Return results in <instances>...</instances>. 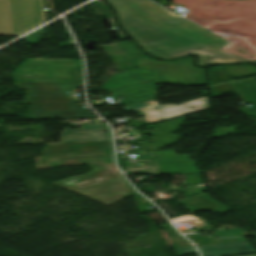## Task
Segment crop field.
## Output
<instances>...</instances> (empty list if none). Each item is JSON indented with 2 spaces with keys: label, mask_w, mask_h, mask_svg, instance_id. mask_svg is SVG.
I'll use <instances>...</instances> for the list:
<instances>
[{
  "label": "crop field",
  "mask_w": 256,
  "mask_h": 256,
  "mask_svg": "<svg viewBox=\"0 0 256 256\" xmlns=\"http://www.w3.org/2000/svg\"><path fill=\"white\" fill-rule=\"evenodd\" d=\"M175 252L177 253L178 256H181L187 253L196 252V250L194 247H187V248L175 249Z\"/></svg>",
  "instance_id": "d9b57169"
},
{
  "label": "crop field",
  "mask_w": 256,
  "mask_h": 256,
  "mask_svg": "<svg viewBox=\"0 0 256 256\" xmlns=\"http://www.w3.org/2000/svg\"><path fill=\"white\" fill-rule=\"evenodd\" d=\"M111 140L103 129H67L63 128L60 142Z\"/></svg>",
  "instance_id": "3316defc"
},
{
  "label": "crop field",
  "mask_w": 256,
  "mask_h": 256,
  "mask_svg": "<svg viewBox=\"0 0 256 256\" xmlns=\"http://www.w3.org/2000/svg\"><path fill=\"white\" fill-rule=\"evenodd\" d=\"M180 174H193V173H180Z\"/></svg>",
  "instance_id": "733c2abd"
},
{
  "label": "crop field",
  "mask_w": 256,
  "mask_h": 256,
  "mask_svg": "<svg viewBox=\"0 0 256 256\" xmlns=\"http://www.w3.org/2000/svg\"><path fill=\"white\" fill-rule=\"evenodd\" d=\"M222 89L224 91H222ZM212 91H213V95L214 97L223 93V92H234V93H237L236 90L234 89L232 83H229V84H223V85H219V86H216V87H212ZM219 91H222L221 93H219Z\"/></svg>",
  "instance_id": "5142ce71"
},
{
  "label": "crop field",
  "mask_w": 256,
  "mask_h": 256,
  "mask_svg": "<svg viewBox=\"0 0 256 256\" xmlns=\"http://www.w3.org/2000/svg\"><path fill=\"white\" fill-rule=\"evenodd\" d=\"M16 88H26L25 103H33L29 118H97L85 104H74L69 91L83 87L74 84L14 82Z\"/></svg>",
  "instance_id": "34b2d1b8"
},
{
  "label": "crop field",
  "mask_w": 256,
  "mask_h": 256,
  "mask_svg": "<svg viewBox=\"0 0 256 256\" xmlns=\"http://www.w3.org/2000/svg\"><path fill=\"white\" fill-rule=\"evenodd\" d=\"M250 256H256V255H250Z\"/></svg>",
  "instance_id": "4a817a6b"
},
{
  "label": "crop field",
  "mask_w": 256,
  "mask_h": 256,
  "mask_svg": "<svg viewBox=\"0 0 256 256\" xmlns=\"http://www.w3.org/2000/svg\"><path fill=\"white\" fill-rule=\"evenodd\" d=\"M217 68L226 72L233 78L244 77L248 75L256 74V68L247 65L240 66H217Z\"/></svg>",
  "instance_id": "d1516ede"
},
{
  "label": "crop field",
  "mask_w": 256,
  "mask_h": 256,
  "mask_svg": "<svg viewBox=\"0 0 256 256\" xmlns=\"http://www.w3.org/2000/svg\"><path fill=\"white\" fill-rule=\"evenodd\" d=\"M90 5L94 9V11L97 13V15L99 16L110 15L107 7L103 5L101 2L94 1L90 3Z\"/></svg>",
  "instance_id": "cbeb9de0"
},
{
  "label": "crop field",
  "mask_w": 256,
  "mask_h": 256,
  "mask_svg": "<svg viewBox=\"0 0 256 256\" xmlns=\"http://www.w3.org/2000/svg\"><path fill=\"white\" fill-rule=\"evenodd\" d=\"M233 85L243 102L251 105V107L241 109V111L249 116L256 117V82L254 80H246L240 84L234 82Z\"/></svg>",
  "instance_id": "28ad6ade"
},
{
  "label": "crop field",
  "mask_w": 256,
  "mask_h": 256,
  "mask_svg": "<svg viewBox=\"0 0 256 256\" xmlns=\"http://www.w3.org/2000/svg\"><path fill=\"white\" fill-rule=\"evenodd\" d=\"M210 86L218 82L231 81V78L219 71L218 69L209 71Z\"/></svg>",
  "instance_id": "22f410ed"
},
{
  "label": "crop field",
  "mask_w": 256,
  "mask_h": 256,
  "mask_svg": "<svg viewBox=\"0 0 256 256\" xmlns=\"http://www.w3.org/2000/svg\"><path fill=\"white\" fill-rule=\"evenodd\" d=\"M121 26L152 56L171 59L199 55L198 65L252 62L218 50L230 43L149 0H107Z\"/></svg>",
  "instance_id": "8a807250"
},
{
  "label": "crop field",
  "mask_w": 256,
  "mask_h": 256,
  "mask_svg": "<svg viewBox=\"0 0 256 256\" xmlns=\"http://www.w3.org/2000/svg\"><path fill=\"white\" fill-rule=\"evenodd\" d=\"M44 0H0V35L19 36L44 22Z\"/></svg>",
  "instance_id": "412701ff"
},
{
  "label": "crop field",
  "mask_w": 256,
  "mask_h": 256,
  "mask_svg": "<svg viewBox=\"0 0 256 256\" xmlns=\"http://www.w3.org/2000/svg\"><path fill=\"white\" fill-rule=\"evenodd\" d=\"M105 155L104 150L84 152V153H75V154H65V155H55V156H46L42 157L41 162H36L37 164L50 163L52 167L73 165L86 163L93 171L58 182L62 184H72L81 180H85L94 176H97L95 173L104 169L105 164L99 157ZM71 160L69 162H66Z\"/></svg>",
  "instance_id": "dd49c442"
},
{
  "label": "crop field",
  "mask_w": 256,
  "mask_h": 256,
  "mask_svg": "<svg viewBox=\"0 0 256 256\" xmlns=\"http://www.w3.org/2000/svg\"><path fill=\"white\" fill-rule=\"evenodd\" d=\"M101 47L117 69L122 71L109 77L103 88L116 97L127 96L129 99L121 101L122 104L156 98L154 84L206 85L204 69H195L192 57L156 61L145 56L132 41ZM146 72L150 76L144 77Z\"/></svg>",
  "instance_id": "ac0d7876"
},
{
  "label": "crop field",
  "mask_w": 256,
  "mask_h": 256,
  "mask_svg": "<svg viewBox=\"0 0 256 256\" xmlns=\"http://www.w3.org/2000/svg\"><path fill=\"white\" fill-rule=\"evenodd\" d=\"M113 148L112 141L99 142H73L47 144L43 155L84 152L98 149ZM87 149V150H84Z\"/></svg>",
  "instance_id": "e52e79f7"
},
{
  "label": "crop field",
  "mask_w": 256,
  "mask_h": 256,
  "mask_svg": "<svg viewBox=\"0 0 256 256\" xmlns=\"http://www.w3.org/2000/svg\"><path fill=\"white\" fill-rule=\"evenodd\" d=\"M204 256H228L256 252L248 241L198 247Z\"/></svg>",
  "instance_id": "d8731c3e"
},
{
  "label": "crop field",
  "mask_w": 256,
  "mask_h": 256,
  "mask_svg": "<svg viewBox=\"0 0 256 256\" xmlns=\"http://www.w3.org/2000/svg\"><path fill=\"white\" fill-rule=\"evenodd\" d=\"M204 100V101H202ZM190 107H193L192 109ZM208 98L203 97L179 105L169 104L160 106L155 100L125 107L124 111H140L147 123H154L198 111L207 110Z\"/></svg>",
  "instance_id": "f4fd0767"
},
{
  "label": "crop field",
  "mask_w": 256,
  "mask_h": 256,
  "mask_svg": "<svg viewBox=\"0 0 256 256\" xmlns=\"http://www.w3.org/2000/svg\"><path fill=\"white\" fill-rule=\"evenodd\" d=\"M187 118L182 117L174 119L171 121L163 122L157 124L158 128L143 131V135L153 132L155 140L153 145H165V144H174L178 141L181 136H174L172 133L176 130H180L179 125H182ZM164 130V131H161ZM164 141L163 143L161 141Z\"/></svg>",
  "instance_id": "5a996713"
}]
</instances>
